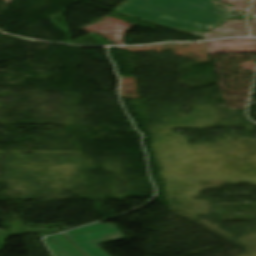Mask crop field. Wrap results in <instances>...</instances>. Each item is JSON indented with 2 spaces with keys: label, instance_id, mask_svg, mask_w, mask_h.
I'll list each match as a JSON object with an SVG mask.
<instances>
[{
  "label": "crop field",
  "instance_id": "8a807250",
  "mask_svg": "<svg viewBox=\"0 0 256 256\" xmlns=\"http://www.w3.org/2000/svg\"><path fill=\"white\" fill-rule=\"evenodd\" d=\"M216 0H127L114 12L168 28L204 31L231 12L216 9Z\"/></svg>",
  "mask_w": 256,
  "mask_h": 256
},
{
  "label": "crop field",
  "instance_id": "ac0d7876",
  "mask_svg": "<svg viewBox=\"0 0 256 256\" xmlns=\"http://www.w3.org/2000/svg\"><path fill=\"white\" fill-rule=\"evenodd\" d=\"M64 235L87 256H109L97 244L125 239L113 224L100 223L69 231Z\"/></svg>",
  "mask_w": 256,
  "mask_h": 256
},
{
  "label": "crop field",
  "instance_id": "34b2d1b8",
  "mask_svg": "<svg viewBox=\"0 0 256 256\" xmlns=\"http://www.w3.org/2000/svg\"><path fill=\"white\" fill-rule=\"evenodd\" d=\"M45 240L55 256H84L62 234Z\"/></svg>",
  "mask_w": 256,
  "mask_h": 256
}]
</instances>
